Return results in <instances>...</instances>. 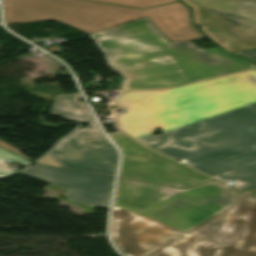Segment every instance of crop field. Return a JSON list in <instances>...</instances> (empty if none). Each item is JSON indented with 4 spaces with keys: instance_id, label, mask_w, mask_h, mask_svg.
I'll list each match as a JSON object with an SVG mask.
<instances>
[{
    "instance_id": "obj_11",
    "label": "crop field",
    "mask_w": 256,
    "mask_h": 256,
    "mask_svg": "<svg viewBox=\"0 0 256 256\" xmlns=\"http://www.w3.org/2000/svg\"><path fill=\"white\" fill-rule=\"evenodd\" d=\"M158 30L159 29L151 22V20L148 17H145L139 20H135L123 25H119L107 30L91 34L90 37L93 41H97Z\"/></svg>"
},
{
    "instance_id": "obj_5",
    "label": "crop field",
    "mask_w": 256,
    "mask_h": 256,
    "mask_svg": "<svg viewBox=\"0 0 256 256\" xmlns=\"http://www.w3.org/2000/svg\"><path fill=\"white\" fill-rule=\"evenodd\" d=\"M236 194L216 181L177 189L119 179L113 204L187 232L233 206Z\"/></svg>"
},
{
    "instance_id": "obj_10",
    "label": "crop field",
    "mask_w": 256,
    "mask_h": 256,
    "mask_svg": "<svg viewBox=\"0 0 256 256\" xmlns=\"http://www.w3.org/2000/svg\"><path fill=\"white\" fill-rule=\"evenodd\" d=\"M79 96V93L56 95L49 115L80 122L91 120L85 103L78 102Z\"/></svg>"
},
{
    "instance_id": "obj_17",
    "label": "crop field",
    "mask_w": 256,
    "mask_h": 256,
    "mask_svg": "<svg viewBox=\"0 0 256 256\" xmlns=\"http://www.w3.org/2000/svg\"><path fill=\"white\" fill-rule=\"evenodd\" d=\"M243 193H246V194H250V195H253V196H256V188L255 189H252V190H249V191H245Z\"/></svg>"
},
{
    "instance_id": "obj_15",
    "label": "crop field",
    "mask_w": 256,
    "mask_h": 256,
    "mask_svg": "<svg viewBox=\"0 0 256 256\" xmlns=\"http://www.w3.org/2000/svg\"><path fill=\"white\" fill-rule=\"evenodd\" d=\"M0 146L3 147V148H6V149H8V150H10V151H12V152H14V153H16V154H18V155H20V156H22V157H24V158H26L25 155H23L21 152H19V151L17 150V148H15V147H13V146H10V145L6 144V143L3 142V141H0Z\"/></svg>"
},
{
    "instance_id": "obj_3",
    "label": "crop field",
    "mask_w": 256,
    "mask_h": 256,
    "mask_svg": "<svg viewBox=\"0 0 256 256\" xmlns=\"http://www.w3.org/2000/svg\"><path fill=\"white\" fill-rule=\"evenodd\" d=\"M95 43L112 70L125 76L123 90L167 88L256 67L220 47L170 42L161 31Z\"/></svg>"
},
{
    "instance_id": "obj_18",
    "label": "crop field",
    "mask_w": 256,
    "mask_h": 256,
    "mask_svg": "<svg viewBox=\"0 0 256 256\" xmlns=\"http://www.w3.org/2000/svg\"><path fill=\"white\" fill-rule=\"evenodd\" d=\"M184 1L187 2V3H189V2L194 1V0H184Z\"/></svg>"
},
{
    "instance_id": "obj_1",
    "label": "crop field",
    "mask_w": 256,
    "mask_h": 256,
    "mask_svg": "<svg viewBox=\"0 0 256 256\" xmlns=\"http://www.w3.org/2000/svg\"><path fill=\"white\" fill-rule=\"evenodd\" d=\"M123 131L245 190L256 186V70L164 91L123 92ZM157 127L162 135H150Z\"/></svg>"
},
{
    "instance_id": "obj_16",
    "label": "crop field",
    "mask_w": 256,
    "mask_h": 256,
    "mask_svg": "<svg viewBox=\"0 0 256 256\" xmlns=\"http://www.w3.org/2000/svg\"><path fill=\"white\" fill-rule=\"evenodd\" d=\"M38 163L50 164L55 166H60L57 162H55L49 155L45 156L43 159L38 161ZM61 167V166H60Z\"/></svg>"
},
{
    "instance_id": "obj_12",
    "label": "crop field",
    "mask_w": 256,
    "mask_h": 256,
    "mask_svg": "<svg viewBox=\"0 0 256 256\" xmlns=\"http://www.w3.org/2000/svg\"><path fill=\"white\" fill-rule=\"evenodd\" d=\"M8 159H10L14 162H17L19 164L26 165V166H28L30 163H32L24 158H21L11 152H8V151L0 148V177H4L6 175L17 172L15 170L8 168L9 165L3 163L4 161H6Z\"/></svg>"
},
{
    "instance_id": "obj_2",
    "label": "crop field",
    "mask_w": 256,
    "mask_h": 256,
    "mask_svg": "<svg viewBox=\"0 0 256 256\" xmlns=\"http://www.w3.org/2000/svg\"><path fill=\"white\" fill-rule=\"evenodd\" d=\"M111 237L125 256H256V197L185 233L113 205Z\"/></svg>"
},
{
    "instance_id": "obj_6",
    "label": "crop field",
    "mask_w": 256,
    "mask_h": 256,
    "mask_svg": "<svg viewBox=\"0 0 256 256\" xmlns=\"http://www.w3.org/2000/svg\"><path fill=\"white\" fill-rule=\"evenodd\" d=\"M197 25L229 51L256 47V0H195Z\"/></svg>"
},
{
    "instance_id": "obj_13",
    "label": "crop field",
    "mask_w": 256,
    "mask_h": 256,
    "mask_svg": "<svg viewBox=\"0 0 256 256\" xmlns=\"http://www.w3.org/2000/svg\"><path fill=\"white\" fill-rule=\"evenodd\" d=\"M92 1L114 3V4L134 6V7L140 8V7L159 5V4L178 1V0H92Z\"/></svg>"
},
{
    "instance_id": "obj_8",
    "label": "crop field",
    "mask_w": 256,
    "mask_h": 256,
    "mask_svg": "<svg viewBox=\"0 0 256 256\" xmlns=\"http://www.w3.org/2000/svg\"><path fill=\"white\" fill-rule=\"evenodd\" d=\"M62 167L115 176L118 154L96 121L77 129L49 154Z\"/></svg>"
},
{
    "instance_id": "obj_9",
    "label": "crop field",
    "mask_w": 256,
    "mask_h": 256,
    "mask_svg": "<svg viewBox=\"0 0 256 256\" xmlns=\"http://www.w3.org/2000/svg\"><path fill=\"white\" fill-rule=\"evenodd\" d=\"M70 190V200L107 209L114 178L35 164L19 173Z\"/></svg>"
},
{
    "instance_id": "obj_4",
    "label": "crop field",
    "mask_w": 256,
    "mask_h": 256,
    "mask_svg": "<svg viewBox=\"0 0 256 256\" xmlns=\"http://www.w3.org/2000/svg\"><path fill=\"white\" fill-rule=\"evenodd\" d=\"M6 24L54 21L88 34L148 16L170 41L204 37L181 2L138 10L79 0H4Z\"/></svg>"
},
{
    "instance_id": "obj_14",
    "label": "crop field",
    "mask_w": 256,
    "mask_h": 256,
    "mask_svg": "<svg viewBox=\"0 0 256 256\" xmlns=\"http://www.w3.org/2000/svg\"><path fill=\"white\" fill-rule=\"evenodd\" d=\"M234 54L245 56V57L250 58V59H252L256 62V48L255 49L244 50V51H239V52H234Z\"/></svg>"
},
{
    "instance_id": "obj_7",
    "label": "crop field",
    "mask_w": 256,
    "mask_h": 256,
    "mask_svg": "<svg viewBox=\"0 0 256 256\" xmlns=\"http://www.w3.org/2000/svg\"><path fill=\"white\" fill-rule=\"evenodd\" d=\"M109 136L121 149L119 177L185 188L212 180L178 162L139 145L120 131Z\"/></svg>"
}]
</instances>
